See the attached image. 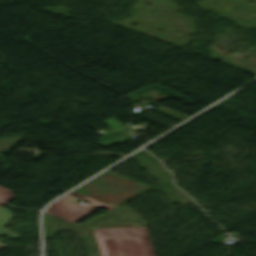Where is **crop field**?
Instances as JSON below:
<instances>
[{"instance_id":"obj_4","label":"crop field","mask_w":256,"mask_h":256,"mask_svg":"<svg viewBox=\"0 0 256 256\" xmlns=\"http://www.w3.org/2000/svg\"><path fill=\"white\" fill-rule=\"evenodd\" d=\"M15 215L12 212L8 211L7 209L0 206V234H3L11 239L18 238L17 235L3 229L2 227L9 222Z\"/></svg>"},{"instance_id":"obj_6","label":"crop field","mask_w":256,"mask_h":256,"mask_svg":"<svg viewBox=\"0 0 256 256\" xmlns=\"http://www.w3.org/2000/svg\"><path fill=\"white\" fill-rule=\"evenodd\" d=\"M5 247H7V246H4V245L0 244V249L5 248Z\"/></svg>"},{"instance_id":"obj_5","label":"crop field","mask_w":256,"mask_h":256,"mask_svg":"<svg viewBox=\"0 0 256 256\" xmlns=\"http://www.w3.org/2000/svg\"><path fill=\"white\" fill-rule=\"evenodd\" d=\"M12 199H14V196H13L11 190H7V189L0 187V200H2L4 202H8Z\"/></svg>"},{"instance_id":"obj_7","label":"crop field","mask_w":256,"mask_h":256,"mask_svg":"<svg viewBox=\"0 0 256 256\" xmlns=\"http://www.w3.org/2000/svg\"><path fill=\"white\" fill-rule=\"evenodd\" d=\"M1 204H3V203L0 202V205H1Z\"/></svg>"},{"instance_id":"obj_2","label":"crop field","mask_w":256,"mask_h":256,"mask_svg":"<svg viewBox=\"0 0 256 256\" xmlns=\"http://www.w3.org/2000/svg\"><path fill=\"white\" fill-rule=\"evenodd\" d=\"M149 189V187L135 183L127 178L105 171L73 192L117 206Z\"/></svg>"},{"instance_id":"obj_3","label":"crop field","mask_w":256,"mask_h":256,"mask_svg":"<svg viewBox=\"0 0 256 256\" xmlns=\"http://www.w3.org/2000/svg\"><path fill=\"white\" fill-rule=\"evenodd\" d=\"M70 194L75 195L80 198H83V199H86V200H89L91 202L82 206L79 204H75V203L66 201L67 199H69L71 197V196L66 195V196L62 197L61 199L55 201L51 206H49L47 208V210L45 212L75 223V222L79 221L80 219H82L83 217L90 214L91 212L95 211L91 208L97 204L108 209V210L113 208L112 206H108L106 204H103L101 202H98L96 200H93L91 198H88V197L80 195V194H76L73 192H71Z\"/></svg>"},{"instance_id":"obj_1","label":"crop field","mask_w":256,"mask_h":256,"mask_svg":"<svg viewBox=\"0 0 256 256\" xmlns=\"http://www.w3.org/2000/svg\"><path fill=\"white\" fill-rule=\"evenodd\" d=\"M93 230L102 256H154L145 227Z\"/></svg>"}]
</instances>
